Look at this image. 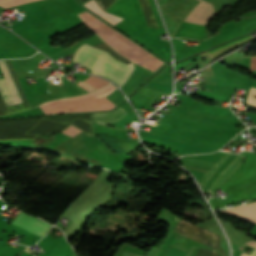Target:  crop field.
<instances>
[{
    "label": "crop field",
    "mask_w": 256,
    "mask_h": 256,
    "mask_svg": "<svg viewBox=\"0 0 256 256\" xmlns=\"http://www.w3.org/2000/svg\"><path fill=\"white\" fill-rule=\"evenodd\" d=\"M89 69L91 73L107 77L122 84L133 69L132 63L125 65L109 54L84 44L75 53L73 60Z\"/></svg>",
    "instance_id": "8a807250"
},
{
    "label": "crop field",
    "mask_w": 256,
    "mask_h": 256,
    "mask_svg": "<svg viewBox=\"0 0 256 256\" xmlns=\"http://www.w3.org/2000/svg\"><path fill=\"white\" fill-rule=\"evenodd\" d=\"M112 84L87 95L55 100L40 105L45 114L112 109L116 105L104 96L115 90Z\"/></svg>",
    "instance_id": "ac0d7876"
},
{
    "label": "crop field",
    "mask_w": 256,
    "mask_h": 256,
    "mask_svg": "<svg viewBox=\"0 0 256 256\" xmlns=\"http://www.w3.org/2000/svg\"><path fill=\"white\" fill-rule=\"evenodd\" d=\"M5 79H0V92L7 105L27 100L8 60H0ZM0 94V115L30 109L28 101L6 106Z\"/></svg>",
    "instance_id": "34b2d1b8"
},
{
    "label": "crop field",
    "mask_w": 256,
    "mask_h": 256,
    "mask_svg": "<svg viewBox=\"0 0 256 256\" xmlns=\"http://www.w3.org/2000/svg\"><path fill=\"white\" fill-rule=\"evenodd\" d=\"M176 233L190 238L196 242L206 245L210 248L217 249L225 256L224 251L220 247L221 237L215 235L201 227L195 226L187 221L180 219L175 231Z\"/></svg>",
    "instance_id": "412701ff"
},
{
    "label": "crop field",
    "mask_w": 256,
    "mask_h": 256,
    "mask_svg": "<svg viewBox=\"0 0 256 256\" xmlns=\"http://www.w3.org/2000/svg\"><path fill=\"white\" fill-rule=\"evenodd\" d=\"M13 224L20 226L24 229H27L40 236L44 235L50 228V225L40 220H37L31 216H28L22 212H20V214L14 220Z\"/></svg>",
    "instance_id": "f4fd0767"
},
{
    "label": "crop field",
    "mask_w": 256,
    "mask_h": 256,
    "mask_svg": "<svg viewBox=\"0 0 256 256\" xmlns=\"http://www.w3.org/2000/svg\"><path fill=\"white\" fill-rule=\"evenodd\" d=\"M213 12L212 4L201 0L188 15L186 21L205 25L206 21L211 18Z\"/></svg>",
    "instance_id": "dd49c442"
},
{
    "label": "crop field",
    "mask_w": 256,
    "mask_h": 256,
    "mask_svg": "<svg viewBox=\"0 0 256 256\" xmlns=\"http://www.w3.org/2000/svg\"><path fill=\"white\" fill-rule=\"evenodd\" d=\"M230 157V154L225 153V155L220 159V161L217 164L214 163H209V162H204V161H199V160H195V159H190V158H185L182 157L179 160L183 161V162H188V163H193V164H199V165H204V166H209L212 167L210 171L207 170H203V169H199V168H195V167H191L188 165H184L185 167L188 168H192V169H196V170H200V171H204L206 172L203 179L199 182L202 185H206V183L208 182V180L210 179V177L219 169V167Z\"/></svg>",
    "instance_id": "e52e79f7"
},
{
    "label": "crop field",
    "mask_w": 256,
    "mask_h": 256,
    "mask_svg": "<svg viewBox=\"0 0 256 256\" xmlns=\"http://www.w3.org/2000/svg\"><path fill=\"white\" fill-rule=\"evenodd\" d=\"M223 211L256 223V202Z\"/></svg>",
    "instance_id": "d8731c3e"
},
{
    "label": "crop field",
    "mask_w": 256,
    "mask_h": 256,
    "mask_svg": "<svg viewBox=\"0 0 256 256\" xmlns=\"http://www.w3.org/2000/svg\"><path fill=\"white\" fill-rule=\"evenodd\" d=\"M243 159V156L238 155L232 162L231 164L226 168V170L220 174L216 181L214 182V184L211 186V188L209 189V192L213 195L216 190L220 187V185L227 180L230 175L235 171V169L239 166V164L241 163Z\"/></svg>",
    "instance_id": "5a996713"
},
{
    "label": "crop field",
    "mask_w": 256,
    "mask_h": 256,
    "mask_svg": "<svg viewBox=\"0 0 256 256\" xmlns=\"http://www.w3.org/2000/svg\"><path fill=\"white\" fill-rule=\"evenodd\" d=\"M127 113L120 107L110 113L94 114V120L99 123L107 124L121 119Z\"/></svg>",
    "instance_id": "3316defc"
},
{
    "label": "crop field",
    "mask_w": 256,
    "mask_h": 256,
    "mask_svg": "<svg viewBox=\"0 0 256 256\" xmlns=\"http://www.w3.org/2000/svg\"><path fill=\"white\" fill-rule=\"evenodd\" d=\"M86 7L97 13L99 16L110 22L111 24H116L117 22L121 21L123 18H120L118 16L112 15L110 13H107L103 11L101 8H99L94 0H91L85 4Z\"/></svg>",
    "instance_id": "28ad6ade"
},
{
    "label": "crop field",
    "mask_w": 256,
    "mask_h": 256,
    "mask_svg": "<svg viewBox=\"0 0 256 256\" xmlns=\"http://www.w3.org/2000/svg\"><path fill=\"white\" fill-rule=\"evenodd\" d=\"M144 17L149 27L159 28L153 14V10L149 0H139Z\"/></svg>",
    "instance_id": "d1516ede"
},
{
    "label": "crop field",
    "mask_w": 256,
    "mask_h": 256,
    "mask_svg": "<svg viewBox=\"0 0 256 256\" xmlns=\"http://www.w3.org/2000/svg\"><path fill=\"white\" fill-rule=\"evenodd\" d=\"M94 47L101 49L107 53H109L110 55H112L114 58L128 64L130 63V61H128L127 59L123 58L122 56H120L118 53H116L113 49H111L108 45H106L104 42H101L97 45H95Z\"/></svg>",
    "instance_id": "22f410ed"
},
{
    "label": "crop field",
    "mask_w": 256,
    "mask_h": 256,
    "mask_svg": "<svg viewBox=\"0 0 256 256\" xmlns=\"http://www.w3.org/2000/svg\"><path fill=\"white\" fill-rule=\"evenodd\" d=\"M84 81L87 82L89 85L93 86L96 89L109 84L108 82H106V81H104L102 79L95 78V77H92V76L88 77Z\"/></svg>",
    "instance_id": "cbeb9de0"
},
{
    "label": "crop field",
    "mask_w": 256,
    "mask_h": 256,
    "mask_svg": "<svg viewBox=\"0 0 256 256\" xmlns=\"http://www.w3.org/2000/svg\"><path fill=\"white\" fill-rule=\"evenodd\" d=\"M31 1H35V0H0V5L7 8L10 6L31 2Z\"/></svg>",
    "instance_id": "5142ce71"
},
{
    "label": "crop field",
    "mask_w": 256,
    "mask_h": 256,
    "mask_svg": "<svg viewBox=\"0 0 256 256\" xmlns=\"http://www.w3.org/2000/svg\"><path fill=\"white\" fill-rule=\"evenodd\" d=\"M197 256H220V255L217 252H215V251H213L211 249L200 248Z\"/></svg>",
    "instance_id": "d9b57169"
},
{
    "label": "crop field",
    "mask_w": 256,
    "mask_h": 256,
    "mask_svg": "<svg viewBox=\"0 0 256 256\" xmlns=\"http://www.w3.org/2000/svg\"><path fill=\"white\" fill-rule=\"evenodd\" d=\"M80 131V129L74 127V126H69L68 128H66L65 130L62 131V133H65L67 135H70V136H75L76 134H78Z\"/></svg>",
    "instance_id": "733c2abd"
},
{
    "label": "crop field",
    "mask_w": 256,
    "mask_h": 256,
    "mask_svg": "<svg viewBox=\"0 0 256 256\" xmlns=\"http://www.w3.org/2000/svg\"><path fill=\"white\" fill-rule=\"evenodd\" d=\"M76 85L80 86L81 88H83L84 90H86L88 92L95 90L81 81H79Z\"/></svg>",
    "instance_id": "4a817a6b"
},
{
    "label": "crop field",
    "mask_w": 256,
    "mask_h": 256,
    "mask_svg": "<svg viewBox=\"0 0 256 256\" xmlns=\"http://www.w3.org/2000/svg\"><path fill=\"white\" fill-rule=\"evenodd\" d=\"M241 256H256V249L254 250V252L251 255L242 252Z\"/></svg>",
    "instance_id": "bc2a9ffb"
},
{
    "label": "crop field",
    "mask_w": 256,
    "mask_h": 256,
    "mask_svg": "<svg viewBox=\"0 0 256 256\" xmlns=\"http://www.w3.org/2000/svg\"><path fill=\"white\" fill-rule=\"evenodd\" d=\"M246 244H248L250 246H253V247H256V241L248 242Z\"/></svg>",
    "instance_id": "214f88e0"
}]
</instances>
